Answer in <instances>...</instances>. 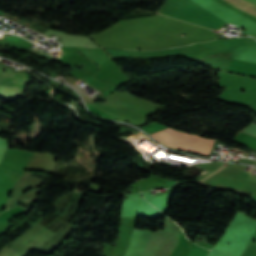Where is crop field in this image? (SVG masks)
Returning a JSON list of instances; mask_svg holds the SVG:
<instances>
[{
    "mask_svg": "<svg viewBox=\"0 0 256 256\" xmlns=\"http://www.w3.org/2000/svg\"><path fill=\"white\" fill-rule=\"evenodd\" d=\"M152 136L167 146H170L172 148L181 149V150L188 151V152H192V153H196V154H202V155L208 156L209 152L211 150L210 148L198 146L195 144L183 142L180 140L172 139V138L157 135V134L152 135Z\"/></svg>",
    "mask_w": 256,
    "mask_h": 256,
    "instance_id": "1",
    "label": "crop field"
},
{
    "mask_svg": "<svg viewBox=\"0 0 256 256\" xmlns=\"http://www.w3.org/2000/svg\"><path fill=\"white\" fill-rule=\"evenodd\" d=\"M226 2L256 16V6L244 0H225Z\"/></svg>",
    "mask_w": 256,
    "mask_h": 256,
    "instance_id": "2",
    "label": "crop field"
}]
</instances>
